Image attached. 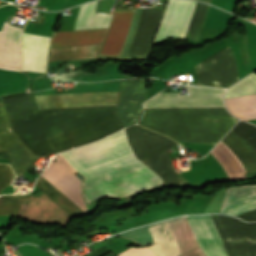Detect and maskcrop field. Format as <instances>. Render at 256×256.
<instances>
[{
	"instance_id": "18",
	"label": "crop field",
	"mask_w": 256,
	"mask_h": 256,
	"mask_svg": "<svg viewBox=\"0 0 256 256\" xmlns=\"http://www.w3.org/2000/svg\"><path fill=\"white\" fill-rule=\"evenodd\" d=\"M100 45L51 49L50 60H72L97 57Z\"/></svg>"
},
{
	"instance_id": "1",
	"label": "crop field",
	"mask_w": 256,
	"mask_h": 256,
	"mask_svg": "<svg viewBox=\"0 0 256 256\" xmlns=\"http://www.w3.org/2000/svg\"><path fill=\"white\" fill-rule=\"evenodd\" d=\"M125 130L89 145L62 153L69 163L127 144ZM130 149L129 144L71 163L76 168L84 164ZM43 173L49 182L85 211L79 192V178L74 169L59 155ZM87 177L85 192L88 202L104 196L122 197L163 185L161 178L132 150L76 168Z\"/></svg>"
},
{
	"instance_id": "21",
	"label": "crop field",
	"mask_w": 256,
	"mask_h": 256,
	"mask_svg": "<svg viewBox=\"0 0 256 256\" xmlns=\"http://www.w3.org/2000/svg\"><path fill=\"white\" fill-rule=\"evenodd\" d=\"M14 176L9 165L0 164V190L10 184Z\"/></svg>"
},
{
	"instance_id": "8",
	"label": "crop field",
	"mask_w": 256,
	"mask_h": 256,
	"mask_svg": "<svg viewBox=\"0 0 256 256\" xmlns=\"http://www.w3.org/2000/svg\"><path fill=\"white\" fill-rule=\"evenodd\" d=\"M96 2L80 7L74 30L90 29ZM111 16L95 13L91 29L108 27ZM107 29L53 32L50 47L102 43Z\"/></svg>"
},
{
	"instance_id": "10",
	"label": "crop field",
	"mask_w": 256,
	"mask_h": 256,
	"mask_svg": "<svg viewBox=\"0 0 256 256\" xmlns=\"http://www.w3.org/2000/svg\"><path fill=\"white\" fill-rule=\"evenodd\" d=\"M189 95L158 93L145 102L144 108L224 106L223 91L216 88L186 86Z\"/></svg>"
},
{
	"instance_id": "3",
	"label": "crop field",
	"mask_w": 256,
	"mask_h": 256,
	"mask_svg": "<svg viewBox=\"0 0 256 256\" xmlns=\"http://www.w3.org/2000/svg\"><path fill=\"white\" fill-rule=\"evenodd\" d=\"M144 110L138 124L183 142L215 145L238 121L225 107Z\"/></svg>"
},
{
	"instance_id": "12",
	"label": "crop field",
	"mask_w": 256,
	"mask_h": 256,
	"mask_svg": "<svg viewBox=\"0 0 256 256\" xmlns=\"http://www.w3.org/2000/svg\"><path fill=\"white\" fill-rule=\"evenodd\" d=\"M118 91L34 96L38 109L115 104Z\"/></svg>"
},
{
	"instance_id": "4",
	"label": "crop field",
	"mask_w": 256,
	"mask_h": 256,
	"mask_svg": "<svg viewBox=\"0 0 256 256\" xmlns=\"http://www.w3.org/2000/svg\"><path fill=\"white\" fill-rule=\"evenodd\" d=\"M201 217L211 216L196 215L173 218L123 232L119 235L127 236L142 244L154 243L149 227L180 219ZM168 224L182 254L200 246L207 256H227L221 246L223 243L211 218L187 219Z\"/></svg>"
},
{
	"instance_id": "13",
	"label": "crop field",
	"mask_w": 256,
	"mask_h": 256,
	"mask_svg": "<svg viewBox=\"0 0 256 256\" xmlns=\"http://www.w3.org/2000/svg\"><path fill=\"white\" fill-rule=\"evenodd\" d=\"M0 150H5L14 172L26 171L35 156L25 147L10 127L0 100Z\"/></svg>"
},
{
	"instance_id": "7",
	"label": "crop field",
	"mask_w": 256,
	"mask_h": 256,
	"mask_svg": "<svg viewBox=\"0 0 256 256\" xmlns=\"http://www.w3.org/2000/svg\"><path fill=\"white\" fill-rule=\"evenodd\" d=\"M195 3L194 1L188 0H169L154 43L171 38H184ZM208 7V5L200 2L196 3L185 38L199 39Z\"/></svg>"
},
{
	"instance_id": "14",
	"label": "crop field",
	"mask_w": 256,
	"mask_h": 256,
	"mask_svg": "<svg viewBox=\"0 0 256 256\" xmlns=\"http://www.w3.org/2000/svg\"><path fill=\"white\" fill-rule=\"evenodd\" d=\"M50 38L34 36L23 33L22 51L23 64L22 70H33L45 72Z\"/></svg>"
},
{
	"instance_id": "20",
	"label": "crop field",
	"mask_w": 256,
	"mask_h": 256,
	"mask_svg": "<svg viewBox=\"0 0 256 256\" xmlns=\"http://www.w3.org/2000/svg\"><path fill=\"white\" fill-rule=\"evenodd\" d=\"M232 131L243 138L256 155V126L240 121Z\"/></svg>"
},
{
	"instance_id": "9",
	"label": "crop field",
	"mask_w": 256,
	"mask_h": 256,
	"mask_svg": "<svg viewBox=\"0 0 256 256\" xmlns=\"http://www.w3.org/2000/svg\"><path fill=\"white\" fill-rule=\"evenodd\" d=\"M247 172L256 171V158L251 147L232 131L223 139ZM221 141L211 152L227 174L246 172L234 153Z\"/></svg>"
},
{
	"instance_id": "22",
	"label": "crop field",
	"mask_w": 256,
	"mask_h": 256,
	"mask_svg": "<svg viewBox=\"0 0 256 256\" xmlns=\"http://www.w3.org/2000/svg\"><path fill=\"white\" fill-rule=\"evenodd\" d=\"M116 256H156L148 248H129Z\"/></svg>"
},
{
	"instance_id": "2",
	"label": "crop field",
	"mask_w": 256,
	"mask_h": 256,
	"mask_svg": "<svg viewBox=\"0 0 256 256\" xmlns=\"http://www.w3.org/2000/svg\"><path fill=\"white\" fill-rule=\"evenodd\" d=\"M16 134L36 156L93 142L124 128L116 106L36 111L31 92L2 97Z\"/></svg>"
},
{
	"instance_id": "17",
	"label": "crop field",
	"mask_w": 256,
	"mask_h": 256,
	"mask_svg": "<svg viewBox=\"0 0 256 256\" xmlns=\"http://www.w3.org/2000/svg\"><path fill=\"white\" fill-rule=\"evenodd\" d=\"M227 109L244 120L256 119V94L225 99Z\"/></svg>"
},
{
	"instance_id": "24",
	"label": "crop field",
	"mask_w": 256,
	"mask_h": 256,
	"mask_svg": "<svg viewBox=\"0 0 256 256\" xmlns=\"http://www.w3.org/2000/svg\"><path fill=\"white\" fill-rule=\"evenodd\" d=\"M180 256H206L204 254V252L200 249V247L192 250V251H189L183 255H180Z\"/></svg>"
},
{
	"instance_id": "16",
	"label": "crop field",
	"mask_w": 256,
	"mask_h": 256,
	"mask_svg": "<svg viewBox=\"0 0 256 256\" xmlns=\"http://www.w3.org/2000/svg\"><path fill=\"white\" fill-rule=\"evenodd\" d=\"M256 208V185L227 187L221 212L239 215Z\"/></svg>"
},
{
	"instance_id": "15",
	"label": "crop field",
	"mask_w": 256,
	"mask_h": 256,
	"mask_svg": "<svg viewBox=\"0 0 256 256\" xmlns=\"http://www.w3.org/2000/svg\"><path fill=\"white\" fill-rule=\"evenodd\" d=\"M22 30L4 22L1 30L0 68L20 71Z\"/></svg>"
},
{
	"instance_id": "5",
	"label": "crop field",
	"mask_w": 256,
	"mask_h": 256,
	"mask_svg": "<svg viewBox=\"0 0 256 256\" xmlns=\"http://www.w3.org/2000/svg\"><path fill=\"white\" fill-rule=\"evenodd\" d=\"M163 11L142 10L129 56H146ZM133 10L116 11L105 45L100 54L120 56L130 26Z\"/></svg>"
},
{
	"instance_id": "11",
	"label": "crop field",
	"mask_w": 256,
	"mask_h": 256,
	"mask_svg": "<svg viewBox=\"0 0 256 256\" xmlns=\"http://www.w3.org/2000/svg\"><path fill=\"white\" fill-rule=\"evenodd\" d=\"M45 194H47L55 203H57L71 217L83 212L69 198L55 188L41 175L36 184ZM27 195H2L0 196V214L16 216L31 199Z\"/></svg>"
},
{
	"instance_id": "6",
	"label": "crop field",
	"mask_w": 256,
	"mask_h": 256,
	"mask_svg": "<svg viewBox=\"0 0 256 256\" xmlns=\"http://www.w3.org/2000/svg\"><path fill=\"white\" fill-rule=\"evenodd\" d=\"M132 150L140 160L166 152L175 143L173 140L138 125L125 129ZM164 183H182L172 168L168 152L142 160Z\"/></svg>"
},
{
	"instance_id": "19",
	"label": "crop field",
	"mask_w": 256,
	"mask_h": 256,
	"mask_svg": "<svg viewBox=\"0 0 256 256\" xmlns=\"http://www.w3.org/2000/svg\"><path fill=\"white\" fill-rule=\"evenodd\" d=\"M256 93V76L253 73L225 92V98Z\"/></svg>"
},
{
	"instance_id": "23",
	"label": "crop field",
	"mask_w": 256,
	"mask_h": 256,
	"mask_svg": "<svg viewBox=\"0 0 256 256\" xmlns=\"http://www.w3.org/2000/svg\"><path fill=\"white\" fill-rule=\"evenodd\" d=\"M236 217H239L245 221H256V210L244 213Z\"/></svg>"
},
{
	"instance_id": "25",
	"label": "crop field",
	"mask_w": 256,
	"mask_h": 256,
	"mask_svg": "<svg viewBox=\"0 0 256 256\" xmlns=\"http://www.w3.org/2000/svg\"><path fill=\"white\" fill-rule=\"evenodd\" d=\"M203 2H207V3H210V0H201Z\"/></svg>"
}]
</instances>
